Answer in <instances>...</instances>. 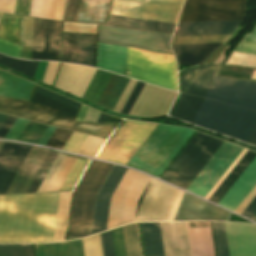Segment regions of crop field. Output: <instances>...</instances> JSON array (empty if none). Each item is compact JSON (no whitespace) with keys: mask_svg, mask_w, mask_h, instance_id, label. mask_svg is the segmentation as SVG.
Returning a JSON list of instances; mask_svg holds the SVG:
<instances>
[{"mask_svg":"<svg viewBox=\"0 0 256 256\" xmlns=\"http://www.w3.org/2000/svg\"><path fill=\"white\" fill-rule=\"evenodd\" d=\"M73 192L0 196V243L64 240Z\"/></svg>","mask_w":256,"mask_h":256,"instance_id":"crop-field-1","label":"crop field"},{"mask_svg":"<svg viewBox=\"0 0 256 256\" xmlns=\"http://www.w3.org/2000/svg\"><path fill=\"white\" fill-rule=\"evenodd\" d=\"M192 124L247 143L256 125V82L215 77Z\"/></svg>","mask_w":256,"mask_h":256,"instance_id":"crop-field-2","label":"crop field"},{"mask_svg":"<svg viewBox=\"0 0 256 256\" xmlns=\"http://www.w3.org/2000/svg\"><path fill=\"white\" fill-rule=\"evenodd\" d=\"M81 104L35 86L30 101L0 97V112L96 136L103 127L74 119Z\"/></svg>","mask_w":256,"mask_h":256,"instance_id":"crop-field-3","label":"crop field"},{"mask_svg":"<svg viewBox=\"0 0 256 256\" xmlns=\"http://www.w3.org/2000/svg\"><path fill=\"white\" fill-rule=\"evenodd\" d=\"M183 0H114L109 14L176 23ZM108 16L106 24L173 33L175 25L158 21Z\"/></svg>","mask_w":256,"mask_h":256,"instance_id":"crop-field-4","label":"crop field"},{"mask_svg":"<svg viewBox=\"0 0 256 256\" xmlns=\"http://www.w3.org/2000/svg\"><path fill=\"white\" fill-rule=\"evenodd\" d=\"M193 133L189 129L158 125L126 166L158 177Z\"/></svg>","mask_w":256,"mask_h":256,"instance_id":"crop-field-5","label":"crop field"},{"mask_svg":"<svg viewBox=\"0 0 256 256\" xmlns=\"http://www.w3.org/2000/svg\"><path fill=\"white\" fill-rule=\"evenodd\" d=\"M222 143L197 132L160 178L185 190Z\"/></svg>","mask_w":256,"mask_h":256,"instance_id":"crop-field-6","label":"crop field"},{"mask_svg":"<svg viewBox=\"0 0 256 256\" xmlns=\"http://www.w3.org/2000/svg\"><path fill=\"white\" fill-rule=\"evenodd\" d=\"M126 76L177 91L173 55L127 48Z\"/></svg>","mask_w":256,"mask_h":256,"instance_id":"crop-field-7","label":"crop field"},{"mask_svg":"<svg viewBox=\"0 0 256 256\" xmlns=\"http://www.w3.org/2000/svg\"><path fill=\"white\" fill-rule=\"evenodd\" d=\"M111 167V164L92 161L75 194L68 236L89 235L95 197Z\"/></svg>","mask_w":256,"mask_h":256,"instance_id":"crop-field-8","label":"crop field"},{"mask_svg":"<svg viewBox=\"0 0 256 256\" xmlns=\"http://www.w3.org/2000/svg\"><path fill=\"white\" fill-rule=\"evenodd\" d=\"M219 66L203 65L184 71L180 79L181 98L172 117L191 123Z\"/></svg>","mask_w":256,"mask_h":256,"instance_id":"crop-field-9","label":"crop field"},{"mask_svg":"<svg viewBox=\"0 0 256 256\" xmlns=\"http://www.w3.org/2000/svg\"><path fill=\"white\" fill-rule=\"evenodd\" d=\"M149 180L150 177L127 169L112 197L107 230L134 221L137 201Z\"/></svg>","mask_w":256,"mask_h":256,"instance_id":"crop-field-10","label":"crop field"},{"mask_svg":"<svg viewBox=\"0 0 256 256\" xmlns=\"http://www.w3.org/2000/svg\"><path fill=\"white\" fill-rule=\"evenodd\" d=\"M156 126L126 120L96 158L125 165Z\"/></svg>","mask_w":256,"mask_h":256,"instance_id":"crop-field-11","label":"crop field"},{"mask_svg":"<svg viewBox=\"0 0 256 256\" xmlns=\"http://www.w3.org/2000/svg\"><path fill=\"white\" fill-rule=\"evenodd\" d=\"M245 0H185L178 22L243 20Z\"/></svg>","mask_w":256,"mask_h":256,"instance_id":"crop-field-12","label":"crop field"},{"mask_svg":"<svg viewBox=\"0 0 256 256\" xmlns=\"http://www.w3.org/2000/svg\"><path fill=\"white\" fill-rule=\"evenodd\" d=\"M172 35L130 30L99 25L98 41L136 47L140 49L172 53L169 44Z\"/></svg>","mask_w":256,"mask_h":256,"instance_id":"crop-field-13","label":"crop field"},{"mask_svg":"<svg viewBox=\"0 0 256 256\" xmlns=\"http://www.w3.org/2000/svg\"><path fill=\"white\" fill-rule=\"evenodd\" d=\"M242 150L243 148L224 142L187 191L204 198Z\"/></svg>","mask_w":256,"mask_h":256,"instance_id":"crop-field-14","label":"crop field"},{"mask_svg":"<svg viewBox=\"0 0 256 256\" xmlns=\"http://www.w3.org/2000/svg\"><path fill=\"white\" fill-rule=\"evenodd\" d=\"M128 81L129 78L97 69L83 99L113 111Z\"/></svg>","mask_w":256,"mask_h":256,"instance_id":"crop-field-15","label":"crop field"},{"mask_svg":"<svg viewBox=\"0 0 256 256\" xmlns=\"http://www.w3.org/2000/svg\"><path fill=\"white\" fill-rule=\"evenodd\" d=\"M62 22L34 18V60H57L60 55Z\"/></svg>","mask_w":256,"mask_h":256,"instance_id":"crop-field-16","label":"crop field"},{"mask_svg":"<svg viewBox=\"0 0 256 256\" xmlns=\"http://www.w3.org/2000/svg\"><path fill=\"white\" fill-rule=\"evenodd\" d=\"M176 94L145 84L129 115L148 118L164 116Z\"/></svg>","mask_w":256,"mask_h":256,"instance_id":"crop-field-17","label":"crop field"},{"mask_svg":"<svg viewBox=\"0 0 256 256\" xmlns=\"http://www.w3.org/2000/svg\"><path fill=\"white\" fill-rule=\"evenodd\" d=\"M96 34L63 32L61 61L94 67Z\"/></svg>","mask_w":256,"mask_h":256,"instance_id":"crop-field-18","label":"crop field"},{"mask_svg":"<svg viewBox=\"0 0 256 256\" xmlns=\"http://www.w3.org/2000/svg\"><path fill=\"white\" fill-rule=\"evenodd\" d=\"M125 171V168L113 165L106 180L100 188L96 197L90 235L106 230L111 197Z\"/></svg>","mask_w":256,"mask_h":256,"instance_id":"crop-field-19","label":"crop field"},{"mask_svg":"<svg viewBox=\"0 0 256 256\" xmlns=\"http://www.w3.org/2000/svg\"><path fill=\"white\" fill-rule=\"evenodd\" d=\"M230 216L231 213L185 193L173 221H228Z\"/></svg>","mask_w":256,"mask_h":256,"instance_id":"crop-field-20","label":"crop field"},{"mask_svg":"<svg viewBox=\"0 0 256 256\" xmlns=\"http://www.w3.org/2000/svg\"><path fill=\"white\" fill-rule=\"evenodd\" d=\"M95 71V68L62 63L55 87L82 98Z\"/></svg>","mask_w":256,"mask_h":256,"instance_id":"crop-field-21","label":"crop field"},{"mask_svg":"<svg viewBox=\"0 0 256 256\" xmlns=\"http://www.w3.org/2000/svg\"><path fill=\"white\" fill-rule=\"evenodd\" d=\"M230 256H256V226L225 223Z\"/></svg>","mask_w":256,"mask_h":256,"instance_id":"crop-field-22","label":"crop field"},{"mask_svg":"<svg viewBox=\"0 0 256 256\" xmlns=\"http://www.w3.org/2000/svg\"><path fill=\"white\" fill-rule=\"evenodd\" d=\"M47 153L44 148L32 147L7 194L26 193Z\"/></svg>","mask_w":256,"mask_h":256,"instance_id":"crop-field-23","label":"crop field"},{"mask_svg":"<svg viewBox=\"0 0 256 256\" xmlns=\"http://www.w3.org/2000/svg\"><path fill=\"white\" fill-rule=\"evenodd\" d=\"M255 185L256 158L220 201L219 205L234 212Z\"/></svg>","mask_w":256,"mask_h":256,"instance_id":"crop-field-24","label":"crop field"},{"mask_svg":"<svg viewBox=\"0 0 256 256\" xmlns=\"http://www.w3.org/2000/svg\"><path fill=\"white\" fill-rule=\"evenodd\" d=\"M241 21L178 23L174 36L232 34Z\"/></svg>","mask_w":256,"mask_h":256,"instance_id":"crop-field-25","label":"crop field"},{"mask_svg":"<svg viewBox=\"0 0 256 256\" xmlns=\"http://www.w3.org/2000/svg\"><path fill=\"white\" fill-rule=\"evenodd\" d=\"M126 47L98 43L96 67L125 76Z\"/></svg>","mask_w":256,"mask_h":256,"instance_id":"crop-field-26","label":"crop field"},{"mask_svg":"<svg viewBox=\"0 0 256 256\" xmlns=\"http://www.w3.org/2000/svg\"><path fill=\"white\" fill-rule=\"evenodd\" d=\"M222 44L172 46L179 65H199Z\"/></svg>","mask_w":256,"mask_h":256,"instance_id":"crop-field-27","label":"crop field"},{"mask_svg":"<svg viewBox=\"0 0 256 256\" xmlns=\"http://www.w3.org/2000/svg\"><path fill=\"white\" fill-rule=\"evenodd\" d=\"M34 84L0 70V96L30 99Z\"/></svg>","mask_w":256,"mask_h":256,"instance_id":"crop-field-28","label":"crop field"},{"mask_svg":"<svg viewBox=\"0 0 256 256\" xmlns=\"http://www.w3.org/2000/svg\"><path fill=\"white\" fill-rule=\"evenodd\" d=\"M31 147L4 142L0 149V169L18 172Z\"/></svg>","mask_w":256,"mask_h":256,"instance_id":"crop-field-29","label":"crop field"},{"mask_svg":"<svg viewBox=\"0 0 256 256\" xmlns=\"http://www.w3.org/2000/svg\"><path fill=\"white\" fill-rule=\"evenodd\" d=\"M192 256H215L211 228H189Z\"/></svg>","mask_w":256,"mask_h":256,"instance_id":"crop-field-30","label":"crop field"},{"mask_svg":"<svg viewBox=\"0 0 256 256\" xmlns=\"http://www.w3.org/2000/svg\"><path fill=\"white\" fill-rule=\"evenodd\" d=\"M111 0H83L76 22L104 24Z\"/></svg>","mask_w":256,"mask_h":256,"instance_id":"crop-field-31","label":"crop field"},{"mask_svg":"<svg viewBox=\"0 0 256 256\" xmlns=\"http://www.w3.org/2000/svg\"><path fill=\"white\" fill-rule=\"evenodd\" d=\"M145 256H164L159 223H140Z\"/></svg>","mask_w":256,"mask_h":256,"instance_id":"crop-field-32","label":"crop field"},{"mask_svg":"<svg viewBox=\"0 0 256 256\" xmlns=\"http://www.w3.org/2000/svg\"><path fill=\"white\" fill-rule=\"evenodd\" d=\"M255 157L256 153L248 150L243 158L239 161V163L235 166V168L231 171V173L226 177V179L210 197L209 201L218 204Z\"/></svg>","mask_w":256,"mask_h":256,"instance_id":"crop-field-33","label":"crop field"},{"mask_svg":"<svg viewBox=\"0 0 256 256\" xmlns=\"http://www.w3.org/2000/svg\"><path fill=\"white\" fill-rule=\"evenodd\" d=\"M65 0H32L30 16L62 21Z\"/></svg>","mask_w":256,"mask_h":256,"instance_id":"crop-field-34","label":"crop field"},{"mask_svg":"<svg viewBox=\"0 0 256 256\" xmlns=\"http://www.w3.org/2000/svg\"><path fill=\"white\" fill-rule=\"evenodd\" d=\"M22 17L5 14L0 23V38L21 45Z\"/></svg>","mask_w":256,"mask_h":256,"instance_id":"crop-field-35","label":"crop field"},{"mask_svg":"<svg viewBox=\"0 0 256 256\" xmlns=\"http://www.w3.org/2000/svg\"><path fill=\"white\" fill-rule=\"evenodd\" d=\"M127 256H143L138 225L133 223L122 227Z\"/></svg>","mask_w":256,"mask_h":256,"instance_id":"crop-field-36","label":"crop field"},{"mask_svg":"<svg viewBox=\"0 0 256 256\" xmlns=\"http://www.w3.org/2000/svg\"><path fill=\"white\" fill-rule=\"evenodd\" d=\"M38 61H23L15 58L6 57L0 54V64L21 72L29 77H34Z\"/></svg>","mask_w":256,"mask_h":256,"instance_id":"crop-field-37","label":"crop field"},{"mask_svg":"<svg viewBox=\"0 0 256 256\" xmlns=\"http://www.w3.org/2000/svg\"><path fill=\"white\" fill-rule=\"evenodd\" d=\"M230 35L174 37L171 45L224 43Z\"/></svg>","mask_w":256,"mask_h":256,"instance_id":"crop-field-38","label":"crop field"},{"mask_svg":"<svg viewBox=\"0 0 256 256\" xmlns=\"http://www.w3.org/2000/svg\"><path fill=\"white\" fill-rule=\"evenodd\" d=\"M75 158L65 156L46 192L59 191L63 181L65 180L69 170L71 169Z\"/></svg>","mask_w":256,"mask_h":256,"instance_id":"crop-field-39","label":"crop field"},{"mask_svg":"<svg viewBox=\"0 0 256 256\" xmlns=\"http://www.w3.org/2000/svg\"><path fill=\"white\" fill-rule=\"evenodd\" d=\"M47 128V125L29 121L17 141L37 144Z\"/></svg>","mask_w":256,"mask_h":256,"instance_id":"crop-field-40","label":"crop field"},{"mask_svg":"<svg viewBox=\"0 0 256 256\" xmlns=\"http://www.w3.org/2000/svg\"><path fill=\"white\" fill-rule=\"evenodd\" d=\"M33 18L23 17L21 58L31 59Z\"/></svg>","mask_w":256,"mask_h":256,"instance_id":"crop-field-41","label":"crop field"},{"mask_svg":"<svg viewBox=\"0 0 256 256\" xmlns=\"http://www.w3.org/2000/svg\"><path fill=\"white\" fill-rule=\"evenodd\" d=\"M88 160H79L76 159L72 169L70 170L66 180L64 181L60 191L72 190L76 184L78 178L83 172L85 166L87 165Z\"/></svg>","mask_w":256,"mask_h":256,"instance_id":"crop-field-42","label":"crop field"},{"mask_svg":"<svg viewBox=\"0 0 256 256\" xmlns=\"http://www.w3.org/2000/svg\"><path fill=\"white\" fill-rule=\"evenodd\" d=\"M56 155H57L56 152L49 151L46 159L44 160L41 168L39 169L37 175L35 176V178H34L32 184L30 185L27 193L37 192L41 182L43 181V179H44L46 173L48 172L52 162L54 161Z\"/></svg>","mask_w":256,"mask_h":256,"instance_id":"crop-field-43","label":"crop field"},{"mask_svg":"<svg viewBox=\"0 0 256 256\" xmlns=\"http://www.w3.org/2000/svg\"><path fill=\"white\" fill-rule=\"evenodd\" d=\"M218 256H229L224 223L213 222Z\"/></svg>","mask_w":256,"mask_h":256,"instance_id":"crop-field-44","label":"crop field"},{"mask_svg":"<svg viewBox=\"0 0 256 256\" xmlns=\"http://www.w3.org/2000/svg\"><path fill=\"white\" fill-rule=\"evenodd\" d=\"M0 256H34L32 244L0 245Z\"/></svg>","mask_w":256,"mask_h":256,"instance_id":"crop-field-45","label":"crop field"},{"mask_svg":"<svg viewBox=\"0 0 256 256\" xmlns=\"http://www.w3.org/2000/svg\"><path fill=\"white\" fill-rule=\"evenodd\" d=\"M71 134L70 131L56 128L46 146L62 150Z\"/></svg>","mask_w":256,"mask_h":256,"instance_id":"crop-field-46","label":"crop field"},{"mask_svg":"<svg viewBox=\"0 0 256 256\" xmlns=\"http://www.w3.org/2000/svg\"><path fill=\"white\" fill-rule=\"evenodd\" d=\"M225 64L256 67V56L233 52Z\"/></svg>","mask_w":256,"mask_h":256,"instance_id":"crop-field-47","label":"crop field"},{"mask_svg":"<svg viewBox=\"0 0 256 256\" xmlns=\"http://www.w3.org/2000/svg\"><path fill=\"white\" fill-rule=\"evenodd\" d=\"M87 137L88 135L73 132L63 150L77 153Z\"/></svg>","mask_w":256,"mask_h":256,"instance_id":"crop-field-48","label":"crop field"},{"mask_svg":"<svg viewBox=\"0 0 256 256\" xmlns=\"http://www.w3.org/2000/svg\"><path fill=\"white\" fill-rule=\"evenodd\" d=\"M115 256H125L121 227L111 231Z\"/></svg>","mask_w":256,"mask_h":256,"instance_id":"crop-field-49","label":"crop field"},{"mask_svg":"<svg viewBox=\"0 0 256 256\" xmlns=\"http://www.w3.org/2000/svg\"><path fill=\"white\" fill-rule=\"evenodd\" d=\"M66 256H85L82 240L64 242Z\"/></svg>","mask_w":256,"mask_h":256,"instance_id":"crop-field-50","label":"crop field"},{"mask_svg":"<svg viewBox=\"0 0 256 256\" xmlns=\"http://www.w3.org/2000/svg\"><path fill=\"white\" fill-rule=\"evenodd\" d=\"M143 86H144V83H141V82L137 81L133 91L131 92L127 102L125 103V105H124V107L121 111V114L128 115L131 107L133 106V104H134L135 100L137 99V97H138L140 91L142 90Z\"/></svg>","mask_w":256,"mask_h":256,"instance_id":"crop-field-51","label":"crop field"},{"mask_svg":"<svg viewBox=\"0 0 256 256\" xmlns=\"http://www.w3.org/2000/svg\"><path fill=\"white\" fill-rule=\"evenodd\" d=\"M20 45L0 40V52L9 56L20 58Z\"/></svg>","mask_w":256,"mask_h":256,"instance_id":"crop-field-52","label":"crop field"},{"mask_svg":"<svg viewBox=\"0 0 256 256\" xmlns=\"http://www.w3.org/2000/svg\"><path fill=\"white\" fill-rule=\"evenodd\" d=\"M16 173L0 170V194H5L12 183Z\"/></svg>","mask_w":256,"mask_h":256,"instance_id":"crop-field-53","label":"crop field"},{"mask_svg":"<svg viewBox=\"0 0 256 256\" xmlns=\"http://www.w3.org/2000/svg\"><path fill=\"white\" fill-rule=\"evenodd\" d=\"M28 123L27 120L19 119L15 121L14 125L8 132L7 136L5 137L6 140H15L18 138L26 124Z\"/></svg>","mask_w":256,"mask_h":256,"instance_id":"crop-field-54","label":"crop field"},{"mask_svg":"<svg viewBox=\"0 0 256 256\" xmlns=\"http://www.w3.org/2000/svg\"><path fill=\"white\" fill-rule=\"evenodd\" d=\"M103 256H114L110 231L100 235Z\"/></svg>","mask_w":256,"mask_h":256,"instance_id":"crop-field-55","label":"crop field"},{"mask_svg":"<svg viewBox=\"0 0 256 256\" xmlns=\"http://www.w3.org/2000/svg\"><path fill=\"white\" fill-rule=\"evenodd\" d=\"M122 119L111 117L103 129L98 133V137L108 138L113 132L116 126L120 123Z\"/></svg>","mask_w":256,"mask_h":256,"instance_id":"crop-field-56","label":"crop field"},{"mask_svg":"<svg viewBox=\"0 0 256 256\" xmlns=\"http://www.w3.org/2000/svg\"><path fill=\"white\" fill-rule=\"evenodd\" d=\"M47 256H65L63 242L45 244Z\"/></svg>","mask_w":256,"mask_h":256,"instance_id":"crop-field-57","label":"crop field"},{"mask_svg":"<svg viewBox=\"0 0 256 256\" xmlns=\"http://www.w3.org/2000/svg\"><path fill=\"white\" fill-rule=\"evenodd\" d=\"M31 0H16L14 14L29 16Z\"/></svg>","mask_w":256,"mask_h":256,"instance_id":"crop-field-58","label":"crop field"},{"mask_svg":"<svg viewBox=\"0 0 256 256\" xmlns=\"http://www.w3.org/2000/svg\"><path fill=\"white\" fill-rule=\"evenodd\" d=\"M58 64L59 63H56V62L48 63V67H47L46 74H45L44 81H43L44 83H46L50 86L52 85Z\"/></svg>","mask_w":256,"mask_h":256,"instance_id":"crop-field-59","label":"crop field"},{"mask_svg":"<svg viewBox=\"0 0 256 256\" xmlns=\"http://www.w3.org/2000/svg\"><path fill=\"white\" fill-rule=\"evenodd\" d=\"M234 51L256 55V43L241 41Z\"/></svg>","mask_w":256,"mask_h":256,"instance_id":"crop-field-60","label":"crop field"},{"mask_svg":"<svg viewBox=\"0 0 256 256\" xmlns=\"http://www.w3.org/2000/svg\"><path fill=\"white\" fill-rule=\"evenodd\" d=\"M246 149L238 156V158L234 161V163L229 167V169L225 172V174L220 178V180L215 184V186L211 189V191L206 195L205 199H209V197L213 194V192L217 189V187L221 184V182L225 179V177L230 173V171L234 168V166L238 163V161L242 158V156L246 153Z\"/></svg>","mask_w":256,"mask_h":256,"instance_id":"crop-field-61","label":"crop field"},{"mask_svg":"<svg viewBox=\"0 0 256 256\" xmlns=\"http://www.w3.org/2000/svg\"><path fill=\"white\" fill-rule=\"evenodd\" d=\"M241 215H243L251 220L256 215V196L248 204V206L244 209V211L241 213Z\"/></svg>","mask_w":256,"mask_h":256,"instance_id":"crop-field-62","label":"crop field"},{"mask_svg":"<svg viewBox=\"0 0 256 256\" xmlns=\"http://www.w3.org/2000/svg\"><path fill=\"white\" fill-rule=\"evenodd\" d=\"M135 81H136V80H135ZM135 81L130 80V82H129L127 88H126V90L124 91V93H123L121 99L119 100V102H118V104H117V106H116V108H115V111L120 112V110H121V108H122L124 102L126 101L128 95H129V93L131 92V90H132V88H133V86H134V84H135Z\"/></svg>","mask_w":256,"mask_h":256,"instance_id":"crop-field-63","label":"crop field"},{"mask_svg":"<svg viewBox=\"0 0 256 256\" xmlns=\"http://www.w3.org/2000/svg\"><path fill=\"white\" fill-rule=\"evenodd\" d=\"M14 5L15 0H0V12L13 14Z\"/></svg>","mask_w":256,"mask_h":256,"instance_id":"crop-field-64","label":"crop field"},{"mask_svg":"<svg viewBox=\"0 0 256 256\" xmlns=\"http://www.w3.org/2000/svg\"><path fill=\"white\" fill-rule=\"evenodd\" d=\"M15 120H16L15 117L8 116V118L6 119V121L4 122V124L0 129V139H3V137L5 136L7 131L10 129V127L12 126Z\"/></svg>","mask_w":256,"mask_h":256,"instance_id":"crop-field-65","label":"crop field"},{"mask_svg":"<svg viewBox=\"0 0 256 256\" xmlns=\"http://www.w3.org/2000/svg\"><path fill=\"white\" fill-rule=\"evenodd\" d=\"M54 130H55V127L49 126V128L47 129L45 134L42 136L38 144L45 146V144L47 143L48 139L50 138Z\"/></svg>","mask_w":256,"mask_h":256,"instance_id":"crop-field-66","label":"crop field"},{"mask_svg":"<svg viewBox=\"0 0 256 256\" xmlns=\"http://www.w3.org/2000/svg\"><path fill=\"white\" fill-rule=\"evenodd\" d=\"M37 256H46L44 244H35Z\"/></svg>","mask_w":256,"mask_h":256,"instance_id":"crop-field-67","label":"crop field"},{"mask_svg":"<svg viewBox=\"0 0 256 256\" xmlns=\"http://www.w3.org/2000/svg\"><path fill=\"white\" fill-rule=\"evenodd\" d=\"M109 118L110 116L101 113L96 123L105 124L109 120Z\"/></svg>","mask_w":256,"mask_h":256,"instance_id":"crop-field-68","label":"crop field"},{"mask_svg":"<svg viewBox=\"0 0 256 256\" xmlns=\"http://www.w3.org/2000/svg\"><path fill=\"white\" fill-rule=\"evenodd\" d=\"M87 108H88L87 106H84V105L82 106V108H81V110H80V112H79V114H78L76 120H79V121H82V120H83Z\"/></svg>","mask_w":256,"mask_h":256,"instance_id":"crop-field-69","label":"crop field"},{"mask_svg":"<svg viewBox=\"0 0 256 256\" xmlns=\"http://www.w3.org/2000/svg\"><path fill=\"white\" fill-rule=\"evenodd\" d=\"M248 144L256 146V127H255L249 141H248Z\"/></svg>","mask_w":256,"mask_h":256,"instance_id":"crop-field-70","label":"crop field"},{"mask_svg":"<svg viewBox=\"0 0 256 256\" xmlns=\"http://www.w3.org/2000/svg\"><path fill=\"white\" fill-rule=\"evenodd\" d=\"M244 38L256 40V26L254 27L252 33H251V34L246 33V35L244 36Z\"/></svg>","mask_w":256,"mask_h":256,"instance_id":"crop-field-71","label":"crop field"},{"mask_svg":"<svg viewBox=\"0 0 256 256\" xmlns=\"http://www.w3.org/2000/svg\"><path fill=\"white\" fill-rule=\"evenodd\" d=\"M6 118H7V115L0 114V127L3 124V122L5 121Z\"/></svg>","mask_w":256,"mask_h":256,"instance_id":"crop-field-72","label":"crop field"},{"mask_svg":"<svg viewBox=\"0 0 256 256\" xmlns=\"http://www.w3.org/2000/svg\"><path fill=\"white\" fill-rule=\"evenodd\" d=\"M251 79H256V70L253 71V75Z\"/></svg>","mask_w":256,"mask_h":256,"instance_id":"crop-field-73","label":"crop field"},{"mask_svg":"<svg viewBox=\"0 0 256 256\" xmlns=\"http://www.w3.org/2000/svg\"><path fill=\"white\" fill-rule=\"evenodd\" d=\"M242 40H244V41H250V42H256V41H252V40H246V39H242Z\"/></svg>","mask_w":256,"mask_h":256,"instance_id":"crop-field-74","label":"crop field"},{"mask_svg":"<svg viewBox=\"0 0 256 256\" xmlns=\"http://www.w3.org/2000/svg\"><path fill=\"white\" fill-rule=\"evenodd\" d=\"M3 142H0V147L2 146Z\"/></svg>","mask_w":256,"mask_h":256,"instance_id":"crop-field-75","label":"crop field"},{"mask_svg":"<svg viewBox=\"0 0 256 256\" xmlns=\"http://www.w3.org/2000/svg\"><path fill=\"white\" fill-rule=\"evenodd\" d=\"M2 14H0V18H1Z\"/></svg>","mask_w":256,"mask_h":256,"instance_id":"crop-field-76","label":"crop field"}]
</instances>
